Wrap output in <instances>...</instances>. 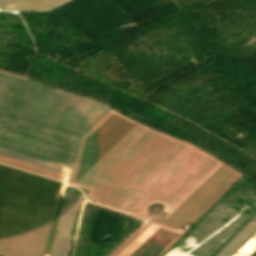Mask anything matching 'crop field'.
<instances>
[{"label": "crop field", "instance_id": "8a807250", "mask_svg": "<svg viewBox=\"0 0 256 256\" xmlns=\"http://www.w3.org/2000/svg\"><path fill=\"white\" fill-rule=\"evenodd\" d=\"M109 109L0 73V153L58 171L56 162L73 166L80 137Z\"/></svg>", "mask_w": 256, "mask_h": 256}, {"label": "crop field", "instance_id": "ac0d7876", "mask_svg": "<svg viewBox=\"0 0 256 256\" xmlns=\"http://www.w3.org/2000/svg\"><path fill=\"white\" fill-rule=\"evenodd\" d=\"M60 184L0 164V239L52 222Z\"/></svg>", "mask_w": 256, "mask_h": 256}, {"label": "crop field", "instance_id": "34b2d1b8", "mask_svg": "<svg viewBox=\"0 0 256 256\" xmlns=\"http://www.w3.org/2000/svg\"><path fill=\"white\" fill-rule=\"evenodd\" d=\"M242 174L220 161L162 221L163 226L180 229L207 211Z\"/></svg>", "mask_w": 256, "mask_h": 256}, {"label": "crop field", "instance_id": "412701ff", "mask_svg": "<svg viewBox=\"0 0 256 256\" xmlns=\"http://www.w3.org/2000/svg\"><path fill=\"white\" fill-rule=\"evenodd\" d=\"M64 192L59 191L57 193L58 197V205L56 208L48 244L44 253V256H51L53 242H54V236L57 226V221L62 205V198H63ZM79 195L71 194L65 192L64 198H63V205L62 210L60 213L56 236H55V242L53 247L52 256H68L71 243L69 241L71 231L74 225V221L76 218L75 210L77 206Z\"/></svg>", "mask_w": 256, "mask_h": 256}, {"label": "crop field", "instance_id": "f4fd0767", "mask_svg": "<svg viewBox=\"0 0 256 256\" xmlns=\"http://www.w3.org/2000/svg\"><path fill=\"white\" fill-rule=\"evenodd\" d=\"M70 0H0L3 10H47Z\"/></svg>", "mask_w": 256, "mask_h": 256}, {"label": "crop field", "instance_id": "dd49c442", "mask_svg": "<svg viewBox=\"0 0 256 256\" xmlns=\"http://www.w3.org/2000/svg\"><path fill=\"white\" fill-rule=\"evenodd\" d=\"M256 230V216L220 251L217 256H230Z\"/></svg>", "mask_w": 256, "mask_h": 256}]
</instances>
